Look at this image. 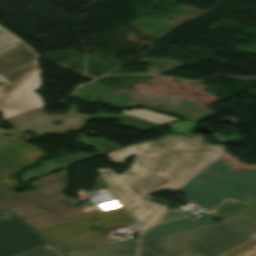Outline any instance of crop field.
Returning <instances> with one entry per match:
<instances>
[{
    "label": "crop field",
    "mask_w": 256,
    "mask_h": 256,
    "mask_svg": "<svg viewBox=\"0 0 256 256\" xmlns=\"http://www.w3.org/2000/svg\"><path fill=\"white\" fill-rule=\"evenodd\" d=\"M22 40L0 26V54L23 44Z\"/></svg>",
    "instance_id": "crop-field-15"
},
{
    "label": "crop field",
    "mask_w": 256,
    "mask_h": 256,
    "mask_svg": "<svg viewBox=\"0 0 256 256\" xmlns=\"http://www.w3.org/2000/svg\"><path fill=\"white\" fill-rule=\"evenodd\" d=\"M44 244L18 217L0 210V256H15Z\"/></svg>",
    "instance_id": "crop-field-9"
},
{
    "label": "crop field",
    "mask_w": 256,
    "mask_h": 256,
    "mask_svg": "<svg viewBox=\"0 0 256 256\" xmlns=\"http://www.w3.org/2000/svg\"><path fill=\"white\" fill-rule=\"evenodd\" d=\"M252 236H254L255 238L250 240V241H248V242H246V243H244V244H242V245H240V246H238V247H235V248H233V249H231V250H229V251H227V252H225V253H223V254H221L219 256H230V255L240 251L241 249L249 246L250 244L256 242V234H254Z\"/></svg>",
    "instance_id": "crop-field-19"
},
{
    "label": "crop field",
    "mask_w": 256,
    "mask_h": 256,
    "mask_svg": "<svg viewBox=\"0 0 256 256\" xmlns=\"http://www.w3.org/2000/svg\"><path fill=\"white\" fill-rule=\"evenodd\" d=\"M229 166L228 160L219 158L179 191L210 211L226 198L243 203L256 200V169L233 172Z\"/></svg>",
    "instance_id": "crop-field-5"
},
{
    "label": "crop field",
    "mask_w": 256,
    "mask_h": 256,
    "mask_svg": "<svg viewBox=\"0 0 256 256\" xmlns=\"http://www.w3.org/2000/svg\"><path fill=\"white\" fill-rule=\"evenodd\" d=\"M256 244V243H255ZM254 245V244H253ZM252 246V245H251ZM250 247V246H249ZM248 248V247H247ZM246 249V248H245ZM244 250V249H243ZM242 251V250H241ZM234 256H256V245L234 255Z\"/></svg>",
    "instance_id": "crop-field-20"
},
{
    "label": "crop field",
    "mask_w": 256,
    "mask_h": 256,
    "mask_svg": "<svg viewBox=\"0 0 256 256\" xmlns=\"http://www.w3.org/2000/svg\"><path fill=\"white\" fill-rule=\"evenodd\" d=\"M18 256H62V255L58 251H56L52 246L47 244L42 247L20 254Z\"/></svg>",
    "instance_id": "crop-field-17"
},
{
    "label": "crop field",
    "mask_w": 256,
    "mask_h": 256,
    "mask_svg": "<svg viewBox=\"0 0 256 256\" xmlns=\"http://www.w3.org/2000/svg\"><path fill=\"white\" fill-rule=\"evenodd\" d=\"M217 216L227 219L236 215H242L256 222V203L242 204L235 202L233 204L224 202L216 211Z\"/></svg>",
    "instance_id": "crop-field-13"
},
{
    "label": "crop field",
    "mask_w": 256,
    "mask_h": 256,
    "mask_svg": "<svg viewBox=\"0 0 256 256\" xmlns=\"http://www.w3.org/2000/svg\"><path fill=\"white\" fill-rule=\"evenodd\" d=\"M165 153L137 154L131 168L149 172Z\"/></svg>",
    "instance_id": "crop-field-14"
},
{
    "label": "crop field",
    "mask_w": 256,
    "mask_h": 256,
    "mask_svg": "<svg viewBox=\"0 0 256 256\" xmlns=\"http://www.w3.org/2000/svg\"><path fill=\"white\" fill-rule=\"evenodd\" d=\"M38 57L27 44L0 55V79L6 82L0 86V102L38 68Z\"/></svg>",
    "instance_id": "crop-field-8"
},
{
    "label": "crop field",
    "mask_w": 256,
    "mask_h": 256,
    "mask_svg": "<svg viewBox=\"0 0 256 256\" xmlns=\"http://www.w3.org/2000/svg\"><path fill=\"white\" fill-rule=\"evenodd\" d=\"M132 222L133 218L121 207L38 232L67 256H136L137 239L118 242L106 237L109 229Z\"/></svg>",
    "instance_id": "crop-field-2"
},
{
    "label": "crop field",
    "mask_w": 256,
    "mask_h": 256,
    "mask_svg": "<svg viewBox=\"0 0 256 256\" xmlns=\"http://www.w3.org/2000/svg\"><path fill=\"white\" fill-rule=\"evenodd\" d=\"M4 134L11 137L5 138ZM24 137L17 130L0 129V191L17 185L15 171L46 155L16 140ZM12 138H17L13 140Z\"/></svg>",
    "instance_id": "crop-field-7"
},
{
    "label": "crop field",
    "mask_w": 256,
    "mask_h": 256,
    "mask_svg": "<svg viewBox=\"0 0 256 256\" xmlns=\"http://www.w3.org/2000/svg\"><path fill=\"white\" fill-rule=\"evenodd\" d=\"M197 123L195 122H188V121H182V120H178L175 121L173 123L161 126V127H169L170 132L173 133H192V129L193 127L196 125ZM159 127V128H161ZM158 129V128H156Z\"/></svg>",
    "instance_id": "crop-field-16"
},
{
    "label": "crop field",
    "mask_w": 256,
    "mask_h": 256,
    "mask_svg": "<svg viewBox=\"0 0 256 256\" xmlns=\"http://www.w3.org/2000/svg\"><path fill=\"white\" fill-rule=\"evenodd\" d=\"M227 227L205 225L140 245V256H217L253 237L256 223L242 216L222 220Z\"/></svg>",
    "instance_id": "crop-field-4"
},
{
    "label": "crop field",
    "mask_w": 256,
    "mask_h": 256,
    "mask_svg": "<svg viewBox=\"0 0 256 256\" xmlns=\"http://www.w3.org/2000/svg\"><path fill=\"white\" fill-rule=\"evenodd\" d=\"M187 212L181 210V209H177V210H167L165 211L163 217L158 221L157 224L168 221V220H172V219H176V218H180L183 216H187Z\"/></svg>",
    "instance_id": "crop-field-18"
},
{
    "label": "crop field",
    "mask_w": 256,
    "mask_h": 256,
    "mask_svg": "<svg viewBox=\"0 0 256 256\" xmlns=\"http://www.w3.org/2000/svg\"><path fill=\"white\" fill-rule=\"evenodd\" d=\"M78 136L79 141L83 144L89 145L91 147L96 148L99 152L95 154H87V153H77L75 155L59 159V160H47L44 161L41 167L33 169L21 176L22 183L30 181L32 179L44 176L46 174L58 171L60 169L66 168L72 164L91 159L103 154H107L119 149H122L115 143L107 142L102 139L89 138L86 136H82L79 134H75Z\"/></svg>",
    "instance_id": "crop-field-10"
},
{
    "label": "crop field",
    "mask_w": 256,
    "mask_h": 256,
    "mask_svg": "<svg viewBox=\"0 0 256 256\" xmlns=\"http://www.w3.org/2000/svg\"><path fill=\"white\" fill-rule=\"evenodd\" d=\"M41 72L38 68L0 103V113L3 114V119L43 105L40 96L32 91L41 87L39 78Z\"/></svg>",
    "instance_id": "crop-field-11"
},
{
    "label": "crop field",
    "mask_w": 256,
    "mask_h": 256,
    "mask_svg": "<svg viewBox=\"0 0 256 256\" xmlns=\"http://www.w3.org/2000/svg\"><path fill=\"white\" fill-rule=\"evenodd\" d=\"M224 150L223 146L206 143L200 134H168L156 141L107 154L111 161L122 163L136 153L167 152L149 173L131 168L120 176L111 169L97 172L108 183L110 191L140 221L143 232L155 223L164 206L142 198L160 189H177Z\"/></svg>",
    "instance_id": "crop-field-1"
},
{
    "label": "crop field",
    "mask_w": 256,
    "mask_h": 256,
    "mask_svg": "<svg viewBox=\"0 0 256 256\" xmlns=\"http://www.w3.org/2000/svg\"><path fill=\"white\" fill-rule=\"evenodd\" d=\"M211 222H212L211 218L197 221L194 218L190 217V218L162 224V225L151 228L145 234H143L141 237V243L158 238V237H162L165 235L189 230V229L199 227Z\"/></svg>",
    "instance_id": "crop-field-12"
},
{
    "label": "crop field",
    "mask_w": 256,
    "mask_h": 256,
    "mask_svg": "<svg viewBox=\"0 0 256 256\" xmlns=\"http://www.w3.org/2000/svg\"><path fill=\"white\" fill-rule=\"evenodd\" d=\"M76 111V108L70 107L69 111L64 115L49 116L44 113L43 108H38L7 121L22 133L31 130L39 136L45 133H65L69 129H82L87 120L99 118L119 119L121 121L118 124L142 132L178 120L143 109H134L133 111L122 110L121 115L97 113L95 116L80 114ZM62 118L64 119L61 125L51 124Z\"/></svg>",
    "instance_id": "crop-field-6"
},
{
    "label": "crop field",
    "mask_w": 256,
    "mask_h": 256,
    "mask_svg": "<svg viewBox=\"0 0 256 256\" xmlns=\"http://www.w3.org/2000/svg\"><path fill=\"white\" fill-rule=\"evenodd\" d=\"M32 183L38 189L0 192V209L20 215L36 230L102 212L97 206L79 209L61 192L67 189L66 169Z\"/></svg>",
    "instance_id": "crop-field-3"
}]
</instances>
